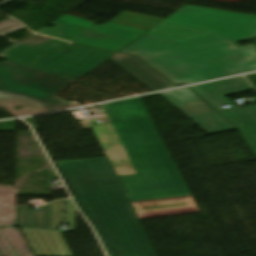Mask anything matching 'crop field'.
Masks as SVG:
<instances>
[{
  "mask_svg": "<svg viewBox=\"0 0 256 256\" xmlns=\"http://www.w3.org/2000/svg\"><path fill=\"white\" fill-rule=\"evenodd\" d=\"M255 36L256 16L183 6L121 53L139 56L175 83L193 84L255 71V45L234 48Z\"/></svg>",
  "mask_w": 256,
  "mask_h": 256,
  "instance_id": "obj_1",
  "label": "crop field"
},
{
  "mask_svg": "<svg viewBox=\"0 0 256 256\" xmlns=\"http://www.w3.org/2000/svg\"><path fill=\"white\" fill-rule=\"evenodd\" d=\"M102 107L89 123L130 202L190 195L141 97Z\"/></svg>",
  "mask_w": 256,
  "mask_h": 256,
  "instance_id": "obj_2",
  "label": "crop field"
},
{
  "mask_svg": "<svg viewBox=\"0 0 256 256\" xmlns=\"http://www.w3.org/2000/svg\"><path fill=\"white\" fill-rule=\"evenodd\" d=\"M57 164L85 216L133 212L106 158Z\"/></svg>",
  "mask_w": 256,
  "mask_h": 256,
  "instance_id": "obj_3",
  "label": "crop field"
},
{
  "mask_svg": "<svg viewBox=\"0 0 256 256\" xmlns=\"http://www.w3.org/2000/svg\"><path fill=\"white\" fill-rule=\"evenodd\" d=\"M70 16L64 15L52 23L67 31L44 27L36 33L74 42L94 25L76 42L118 52L162 20L124 11L108 24L96 26L95 23Z\"/></svg>",
  "mask_w": 256,
  "mask_h": 256,
  "instance_id": "obj_4",
  "label": "crop field"
},
{
  "mask_svg": "<svg viewBox=\"0 0 256 256\" xmlns=\"http://www.w3.org/2000/svg\"><path fill=\"white\" fill-rule=\"evenodd\" d=\"M74 82L18 63H0V97L34 100L51 111L77 107L56 97Z\"/></svg>",
  "mask_w": 256,
  "mask_h": 256,
  "instance_id": "obj_5",
  "label": "crop field"
},
{
  "mask_svg": "<svg viewBox=\"0 0 256 256\" xmlns=\"http://www.w3.org/2000/svg\"><path fill=\"white\" fill-rule=\"evenodd\" d=\"M87 218L109 256H156L135 213Z\"/></svg>",
  "mask_w": 256,
  "mask_h": 256,
  "instance_id": "obj_6",
  "label": "crop field"
},
{
  "mask_svg": "<svg viewBox=\"0 0 256 256\" xmlns=\"http://www.w3.org/2000/svg\"><path fill=\"white\" fill-rule=\"evenodd\" d=\"M115 52L73 44L41 58L32 67L75 81L104 63Z\"/></svg>",
  "mask_w": 256,
  "mask_h": 256,
  "instance_id": "obj_7",
  "label": "crop field"
},
{
  "mask_svg": "<svg viewBox=\"0 0 256 256\" xmlns=\"http://www.w3.org/2000/svg\"><path fill=\"white\" fill-rule=\"evenodd\" d=\"M160 95L208 134L236 129L188 88L161 93Z\"/></svg>",
  "mask_w": 256,
  "mask_h": 256,
  "instance_id": "obj_8",
  "label": "crop field"
},
{
  "mask_svg": "<svg viewBox=\"0 0 256 256\" xmlns=\"http://www.w3.org/2000/svg\"><path fill=\"white\" fill-rule=\"evenodd\" d=\"M191 88L217 112L237 108L225 96L253 90L252 86L243 76L192 86ZM225 105H229L232 108L223 109L221 106Z\"/></svg>",
  "mask_w": 256,
  "mask_h": 256,
  "instance_id": "obj_9",
  "label": "crop field"
},
{
  "mask_svg": "<svg viewBox=\"0 0 256 256\" xmlns=\"http://www.w3.org/2000/svg\"><path fill=\"white\" fill-rule=\"evenodd\" d=\"M138 219L199 212L192 197L131 203Z\"/></svg>",
  "mask_w": 256,
  "mask_h": 256,
  "instance_id": "obj_10",
  "label": "crop field"
},
{
  "mask_svg": "<svg viewBox=\"0 0 256 256\" xmlns=\"http://www.w3.org/2000/svg\"><path fill=\"white\" fill-rule=\"evenodd\" d=\"M110 60L152 91L176 87L135 56L117 53Z\"/></svg>",
  "mask_w": 256,
  "mask_h": 256,
  "instance_id": "obj_11",
  "label": "crop field"
},
{
  "mask_svg": "<svg viewBox=\"0 0 256 256\" xmlns=\"http://www.w3.org/2000/svg\"><path fill=\"white\" fill-rule=\"evenodd\" d=\"M36 256H72L60 231L21 229Z\"/></svg>",
  "mask_w": 256,
  "mask_h": 256,
  "instance_id": "obj_12",
  "label": "crop field"
},
{
  "mask_svg": "<svg viewBox=\"0 0 256 256\" xmlns=\"http://www.w3.org/2000/svg\"><path fill=\"white\" fill-rule=\"evenodd\" d=\"M71 43L51 40L47 43L39 44L36 46L25 44H14L0 53V57L11 59L19 63L30 66L37 61L42 55L49 52L65 48Z\"/></svg>",
  "mask_w": 256,
  "mask_h": 256,
  "instance_id": "obj_13",
  "label": "crop field"
},
{
  "mask_svg": "<svg viewBox=\"0 0 256 256\" xmlns=\"http://www.w3.org/2000/svg\"><path fill=\"white\" fill-rule=\"evenodd\" d=\"M220 114L238 128V132L256 156V105Z\"/></svg>",
  "mask_w": 256,
  "mask_h": 256,
  "instance_id": "obj_14",
  "label": "crop field"
},
{
  "mask_svg": "<svg viewBox=\"0 0 256 256\" xmlns=\"http://www.w3.org/2000/svg\"><path fill=\"white\" fill-rule=\"evenodd\" d=\"M50 204L43 211H31L27 206H15L16 226L20 228L50 229Z\"/></svg>",
  "mask_w": 256,
  "mask_h": 256,
  "instance_id": "obj_15",
  "label": "crop field"
},
{
  "mask_svg": "<svg viewBox=\"0 0 256 256\" xmlns=\"http://www.w3.org/2000/svg\"><path fill=\"white\" fill-rule=\"evenodd\" d=\"M63 200L55 201L51 206V229L55 230V225H61Z\"/></svg>",
  "mask_w": 256,
  "mask_h": 256,
  "instance_id": "obj_16",
  "label": "crop field"
},
{
  "mask_svg": "<svg viewBox=\"0 0 256 256\" xmlns=\"http://www.w3.org/2000/svg\"><path fill=\"white\" fill-rule=\"evenodd\" d=\"M77 211L70 199L66 200L64 223H70L68 231H74Z\"/></svg>",
  "mask_w": 256,
  "mask_h": 256,
  "instance_id": "obj_17",
  "label": "crop field"
}]
</instances>
